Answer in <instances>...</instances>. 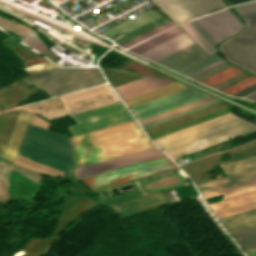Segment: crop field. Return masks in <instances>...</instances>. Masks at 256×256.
<instances>
[{
  "label": "crop field",
  "mask_w": 256,
  "mask_h": 256,
  "mask_svg": "<svg viewBox=\"0 0 256 256\" xmlns=\"http://www.w3.org/2000/svg\"><path fill=\"white\" fill-rule=\"evenodd\" d=\"M222 194L221 201L209 204L219 217L256 208V181L203 194L204 199Z\"/></svg>",
  "instance_id": "obj_9"
},
{
  "label": "crop field",
  "mask_w": 256,
  "mask_h": 256,
  "mask_svg": "<svg viewBox=\"0 0 256 256\" xmlns=\"http://www.w3.org/2000/svg\"><path fill=\"white\" fill-rule=\"evenodd\" d=\"M219 59L217 53L208 57L194 43L156 63L187 76Z\"/></svg>",
  "instance_id": "obj_14"
},
{
  "label": "crop field",
  "mask_w": 256,
  "mask_h": 256,
  "mask_svg": "<svg viewBox=\"0 0 256 256\" xmlns=\"http://www.w3.org/2000/svg\"><path fill=\"white\" fill-rule=\"evenodd\" d=\"M31 115V113L18 108L11 111L0 140L1 154L14 159Z\"/></svg>",
  "instance_id": "obj_15"
},
{
  "label": "crop field",
  "mask_w": 256,
  "mask_h": 256,
  "mask_svg": "<svg viewBox=\"0 0 256 256\" xmlns=\"http://www.w3.org/2000/svg\"><path fill=\"white\" fill-rule=\"evenodd\" d=\"M172 81H166L161 79L151 78L144 82L138 83L126 89L118 91L123 100L128 99L130 97L136 96L138 94L144 93L146 91L152 90L154 88L160 87L162 85L168 84Z\"/></svg>",
  "instance_id": "obj_22"
},
{
  "label": "crop field",
  "mask_w": 256,
  "mask_h": 256,
  "mask_svg": "<svg viewBox=\"0 0 256 256\" xmlns=\"http://www.w3.org/2000/svg\"><path fill=\"white\" fill-rule=\"evenodd\" d=\"M69 138L75 168L154 147L135 120Z\"/></svg>",
  "instance_id": "obj_1"
},
{
  "label": "crop field",
  "mask_w": 256,
  "mask_h": 256,
  "mask_svg": "<svg viewBox=\"0 0 256 256\" xmlns=\"http://www.w3.org/2000/svg\"><path fill=\"white\" fill-rule=\"evenodd\" d=\"M229 66H231V65H229L225 62V63H223V64H221V65H219V66H217V67H215V68H213V69H211V70H209V71H207V72H205V73H203V74H201V75H199V76H197L193 79L196 80V81H200V80H202V79H204V78H206V77H208V76H210L214 73H217V72H219V71H221V70H223V69H225Z\"/></svg>",
  "instance_id": "obj_30"
},
{
  "label": "crop field",
  "mask_w": 256,
  "mask_h": 256,
  "mask_svg": "<svg viewBox=\"0 0 256 256\" xmlns=\"http://www.w3.org/2000/svg\"><path fill=\"white\" fill-rule=\"evenodd\" d=\"M162 154L159 150H157L155 147L146 149L143 151L135 152L132 154L124 155L121 157L109 159L106 161L98 162L95 164L87 165L84 167L76 168L75 174L81 178L89 175H93L96 173L108 171L111 169H115L118 167L126 166L129 164H133L136 162L144 161L147 159H151L154 157L162 156Z\"/></svg>",
  "instance_id": "obj_18"
},
{
  "label": "crop field",
  "mask_w": 256,
  "mask_h": 256,
  "mask_svg": "<svg viewBox=\"0 0 256 256\" xmlns=\"http://www.w3.org/2000/svg\"><path fill=\"white\" fill-rule=\"evenodd\" d=\"M227 177L196 184L201 194L256 180V157L221 165Z\"/></svg>",
  "instance_id": "obj_11"
},
{
  "label": "crop field",
  "mask_w": 256,
  "mask_h": 256,
  "mask_svg": "<svg viewBox=\"0 0 256 256\" xmlns=\"http://www.w3.org/2000/svg\"><path fill=\"white\" fill-rule=\"evenodd\" d=\"M166 12L176 23L225 8L221 0H151Z\"/></svg>",
  "instance_id": "obj_13"
},
{
  "label": "crop field",
  "mask_w": 256,
  "mask_h": 256,
  "mask_svg": "<svg viewBox=\"0 0 256 256\" xmlns=\"http://www.w3.org/2000/svg\"><path fill=\"white\" fill-rule=\"evenodd\" d=\"M243 251L256 248V226L230 232Z\"/></svg>",
  "instance_id": "obj_24"
},
{
  "label": "crop field",
  "mask_w": 256,
  "mask_h": 256,
  "mask_svg": "<svg viewBox=\"0 0 256 256\" xmlns=\"http://www.w3.org/2000/svg\"><path fill=\"white\" fill-rule=\"evenodd\" d=\"M23 80L29 86L44 88L51 97L105 82L97 68H57Z\"/></svg>",
  "instance_id": "obj_5"
},
{
  "label": "crop field",
  "mask_w": 256,
  "mask_h": 256,
  "mask_svg": "<svg viewBox=\"0 0 256 256\" xmlns=\"http://www.w3.org/2000/svg\"><path fill=\"white\" fill-rule=\"evenodd\" d=\"M246 99H249V100H252V101H255L256 102V93L246 97Z\"/></svg>",
  "instance_id": "obj_39"
},
{
  "label": "crop field",
  "mask_w": 256,
  "mask_h": 256,
  "mask_svg": "<svg viewBox=\"0 0 256 256\" xmlns=\"http://www.w3.org/2000/svg\"><path fill=\"white\" fill-rule=\"evenodd\" d=\"M222 62H224L223 59L214 63V64H212V65H210V66H208V67H206V68H204V69H202V70H200V71H198V72H196V73H194V74H192V75H190V76H188V77L192 78V77H194V76H196V75H198V74H200V73H202V72H204V71H206V70H208V69H210V68H212V67H214V66H216L220 63H222Z\"/></svg>",
  "instance_id": "obj_36"
},
{
  "label": "crop field",
  "mask_w": 256,
  "mask_h": 256,
  "mask_svg": "<svg viewBox=\"0 0 256 256\" xmlns=\"http://www.w3.org/2000/svg\"><path fill=\"white\" fill-rule=\"evenodd\" d=\"M233 8L237 11V13L240 16L254 13V12H256V1L247 3V4H243V5H239V6H235Z\"/></svg>",
  "instance_id": "obj_27"
},
{
  "label": "crop field",
  "mask_w": 256,
  "mask_h": 256,
  "mask_svg": "<svg viewBox=\"0 0 256 256\" xmlns=\"http://www.w3.org/2000/svg\"><path fill=\"white\" fill-rule=\"evenodd\" d=\"M211 99H214V98L209 97V98L203 99V100H201V101H198V102H195V103L186 105V106H184V107H181V108H178V109H175V110L166 112V113H164V114H161V115H158V116H155V117H152V118H149V119H147V120L141 121V124L146 123V122H149V121L154 120V119H157V118H160V117H163V116H166V115H169V114H171V113H174V112H177V111L186 109V108H188V107H191V106H194V105H197V104L206 102V101L211 100Z\"/></svg>",
  "instance_id": "obj_29"
},
{
  "label": "crop field",
  "mask_w": 256,
  "mask_h": 256,
  "mask_svg": "<svg viewBox=\"0 0 256 256\" xmlns=\"http://www.w3.org/2000/svg\"><path fill=\"white\" fill-rule=\"evenodd\" d=\"M95 205H97V202L89 197L78 199L75 202V204L71 208L67 209L60 217L59 227L56 230V232L52 235V238L48 240L43 238H31L28 245L22 250H24L25 252L32 256L34 252L38 249V247L42 244V242L46 240L45 243L34 255L41 256L47 250V248L59 238L57 235H59L79 214Z\"/></svg>",
  "instance_id": "obj_16"
},
{
  "label": "crop field",
  "mask_w": 256,
  "mask_h": 256,
  "mask_svg": "<svg viewBox=\"0 0 256 256\" xmlns=\"http://www.w3.org/2000/svg\"><path fill=\"white\" fill-rule=\"evenodd\" d=\"M228 232L256 225V209L219 218Z\"/></svg>",
  "instance_id": "obj_21"
},
{
  "label": "crop field",
  "mask_w": 256,
  "mask_h": 256,
  "mask_svg": "<svg viewBox=\"0 0 256 256\" xmlns=\"http://www.w3.org/2000/svg\"><path fill=\"white\" fill-rule=\"evenodd\" d=\"M217 101H220V100H217V99L211 100V101H209V102H206V103L200 104V105H198V106H195V107L189 108V109H187V110H184V111L178 112V113L173 114V115H170V116H168V117H165V118L159 119V120H157V121H154V122L148 123V124H146V125H143V128L148 127V126L153 125V124H156V123H159V122H162V121H164V120H167V119H170V118L176 117V116H178V115H181V114L187 113V112H189V111H192V110H195V109L201 108V107H203V106H206V105H209V104L215 103V102H217Z\"/></svg>",
  "instance_id": "obj_26"
},
{
  "label": "crop field",
  "mask_w": 256,
  "mask_h": 256,
  "mask_svg": "<svg viewBox=\"0 0 256 256\" xmlns=\"http://www.w3.org/2000/svg\"><path fill=\"white\" fill-rule=\"evenodd\" d=\"M226 113H229V111H228L227 108L222 109V110L217 111V112H214V113H211V114H208V115H206V116H203V117L194 119V120H192V121L183 123V124H181V125H178V126L169 128V129H167V130H164V131L155 133V134H153V135H150V137H151L152 140H154V139H157V138H159V137H162V136L171 134V133H173V132H176V131L185 129V128L190 127V126H193V125H196V124H198V123H201V122L210 120V119H212V118H215V117H218V116H221V115H224V114H226Z\"/></svg>",
  "instance_id": "obj_25"
},
{
  "label": "crop field",
  "mask_w": 256,
  "mask_h": 256,
  "mask_svg": "<svg viewBox=\"0 0 256 256\" xmlns=\"http://www.w3.org/2000/svg\"><path fill=\"white\" fill-rule=\"evenodd\" d=\"M230 4H234V3H238V2H242V1H246V0H227ZM250 1V0H248Z\"/></svg>",
  "instance_id": "obj_40"
},
{
  "label": "crop field",
  "mask_w": 256,
  "mask_h": 256,
  "mask_svg": "<svg viewBox=\"0 0 256 256\" xmlns=\"http://www.w3.org/2000/svg\"><path fill=\"white\" fill-rule=\"evenodd\" d=\"M18 155L73 174L69 141L46 129L29 124Z\"/></svg>",
  "instance_id": "obj_3"
},
{
  "label": "crop field",
  "mask_w": 256,
  "mask_h": 256,
  "mask_svg": "<svg viewBox=\"0 0 256 256\" xmlns=\"http://www.w3.org/2000/svg\"><path fill=\"white\" fill-rule=\"evenodd\" d=\"M191 43H193V41L185 33H183L139 55L155 62Z\"/></svg>",
  "instance_id": "obj_19"
},
{
  "label": "crop field",
  "mask_w": 256,
  "mask_h": 256,
  "mask_svg": "<svg viewBox=\"0 0 256 256\" xmlns=\"http://www.w3.org/2000/svg\"><path fill=\"white\" fill-rule=\"evenodd\" d=\"M77 123L69 126L74 135L133 120L128 110L119 102L70 115Z\"/></svg>",
  "instance_id": "obj_10"
},
{
  "label": "crop field",
  "mask_w": 256,
  "mask_h": 256,
  "mask_svg": "<svg viewBox=\"0 0 256 256\" xmlns=\"http://www.w3.org/2000/svg\"><path fill=\"white\" fill-rule=\"evenodd\" d=\"M10 111L11 110L0 113V137L5 127Z\"/></svg>",
  "instance_id": "obj_32"
},
{
  "label": "crop field",
  "mask_w": 256,
  "mask_h": 256,
  "mask_svg": "<svg viewBox=\"0 0 256 256\" xmlns=\"http://www.w3.org/2000/svg\"><path fill=\"white\" fill-rule=\"evenodd\" d=\"M171 169H175L173 164L160 157L82 179L96 189Z\"/></svg>",
  "instance_id": "obj_8"
},
{
  "label": "crop field",
  "mask_w": 256,
  "mask_h": 256,
  "mask_svg": "<svg viewBox=\"0 0 256 256\" xmlns=\"http://www.w3.org/2000/svg\"><path fill=\"white\" fill-rule=\"evenodd\" d=\"M197 21L219 42L241 30V22L228 10L197 19ZM196 20L180 26L208 53L216 50L212 47L218 43Z\"/></svg>",
  "instance_id": "obj_6"
},
{
  "label": "crop field",
  "mask_w": 256,
  "mask_h": 256,
  "mask_svg": "<svg viewBox=\"0 0 256 256\" xmlns=\"http://www.w3.org/2000/svg\"><path fill=\"white\" fill-rule=\"evenodd\" d=\"M181 33H183V31L180 30L177 26H175V27H173V28H171V29H169V30H167V31H165V32H163V33H161V34H159V35H157V36H155V37H153V38H151V39H149V40H147V41H145V42H143V43H141V44H139L135 47H133V48H131V49H129V51L134 52L136 54H139V53H141V52H143V51H145V50H147L151 47H154V46H156V45H158V44H160V43H162V42H164L168 39H171V38H173V37H175V36H177Z\"/></svg>",
  "instance_id": "obj_23"
},
{
  "label": "crop field",
  "mask_w": 256,
  "mask_h": 256,
  "mask_svg": "<svg viewBox=\"0 0 256 256\" xmlns=\"http://www.w3.org/2000/svg\"><path fill=\"white\" fill-rule=\"evenodd\" d=\"M240 36H252L256 35V26L247 28L243 33L239 34Z\"/></svg>",
  "instance_id": "obj_35"
},
{
  "label": "crop field",
  "mask_w": 256,
  "mask_h": 256,
  "mask_svg": "<svg viewBox=\"0 0 256 256\" xmlns=\"http://www.w3.org/2000/svg\"><path fill=\"white\" fill-rule=\"evenodd\" d=\"M206 97L209 96L189 87L148 103L136 106L131 108V110L138 120H144Z\"/></svg>",
  "instance_id": "obj_12"
},
{
  "label": "crop field",
  "mask_w": 256,
  "mask_h": 256,
  "mask_svg": "<svg viewBox=\"0 0 256 256\" xmlns=\"http://www.w3.org/2000/svg\"><path fill=\"white\" fill-rule=\"evenodd\" d=\"M220 49L229 60L256 72V37L236 36L221 44Z\"/></svg>",
  "instance_id": "obj_17"
},
{
  "label": "crop field",
  "mask_w": 256,
  "mask_h": 256,
  "mask_svg": "<svg viewBox=\"0 0 256 256\" xmlns=\"http://www.w3.org/2000/svg\"><path fill=\"white\" fill-rule=\"evenodd\" d=\"M249 75H251V74L243 72V73H241V74H239V75H237V76H235V77H233V78H231V79H229V80H227V81H225V82H223V83H221V84H219V85H217L213 88H215L217 90H220V89H222V88H224V87H226V86H228V85H230L234 82H237V81H239V80H241V79H243V78H245Z\"/></svg>",
  "instance_id": "obj_31"
},
{
  "label": "crop field",
  "mask_w": 256,
  "mask_h": 256,
  "mask_svg": "<svg viewBox=\"0 0 256 256\" xmlns=\"http://www.w3.org/2000/svg\"><path fill=\"white\" fill-rule=\"evenodd\" d=\"M247 256H256V249L245 251Z\"/></svg>",
  "instance_id": "obj_38"
},
{
  "label": "crop field",
  "mask_w": 256,
  "mask_h": 256,
  "mask_svg": "<svg viewBox=\"0 0 256 256\" xmlns=\"http://www.w3.org/2000/svg\"><path fill=\"white\" fill-rule=\"evenodd\" d=\"M242 18L245 20L247 27L256 25V13L247 15V16H243Z\"/></svg>",
  "instance_id": "obj_33"
},
{
  "label": "crop field",
  "mask_w": 256,
  "mask_h": 256,
  "mask_svg": "<svg viewBox=\"0 0 256 256\" xmlns=\"http://www.w3.org/2000/svg\"><path fill=\"white\" fill-rule=\"evenodd\" d=\"M153 11V10H152ZM150 9L100 33L106 37H109L123 29H125L129 34L115 40L117 45H122L146 32H149L165 23H167L163 18L152 12ZM172 27L169 23L149 32L146 33L124 45L121 47L127 48L135 43H138L148 37H151L161 31H164L165 29H168Z\"/></svg>",
  "instance_id": "obj_7"
},
{
  "label": "crop field",
  "mask_w": 256,
  "mask_h": 256,
  "mask_svg": "<svg viewBox=\"0 0 256 256\" xmlns=\"http://www.w3.org/2000/svg\"><path fill=\"white\" fill-rule=\"evenodd\" d=\"M255 90H256V84L249 87V88H246V89H244V90H242V91H240L236 94H234V96L243 97V96H245V95H247V94H249V93H251Z\"/></svg>",
  "instance_id": "obj_34"
},
{
  "label": "crop field",
  "mask_w": 256,
  "mask_h": 256,
  "mask_svg": "<svg viewBox=\"0 0 256 256\" xmlns=\"http://www.w3.org/2000/svg\"><path fill=\"white\" fill-rule=\"evenodd\" d=\"M186 85H182L176 82L170 83L168 85L162 86L160 88L154 89L152 91L146 92L144 94L138 95L136 97L130 98L128 100H125V103L128 105L129 108L134 107L136 105L148 102L150 100L159 98L161 96L170 94L172 92L184 89Z\"/></svg>",
  "instance_id": "obj_20"
},
{
  "label": "crop field",
  "mask_w": 256,
  "mask_h": 256,
  "mask_svg": "<svg viewBox=\"0 0 256 256\" xmlns=\"http://www.w3.org/2000/svg\"><path fill=\"white\" fill-rule=\"evenodd\" d=\"M149 78H150V77H146V78H143V79H141V80H138V81L132 82V83H130V84H127V85L121 86V87H119V88H116V91H117V90H120V89H123V88H125V87H128V86H131V85H133V84H136V83H138V82H141V81H143V80L149 79Z\"/></svg>",
  "instance_id": "obj_37"
},
{
  "label": "crop field",
  "mask_w": 256,
  "mask_h": 256,
  "mask_svg": "<svg viewBox=\"0 0 256 256\" xmlns=\"http://www.w3.org/2000/svg\"><path fill=\"white\" fill-rule=\"evenodd\" d=\"M61 98L62 100H60V98H54L55 100L50 99L51 101L46 100L47 102L42 101L43 103H38L40 105L56 100L60 101L40 106H38L37 104H32L23 106L22 108L50 120L70 115L72 113L119 102V99L116 97L114 92L107 84L72 93L69 95L61 96Z\"/></svg>",
  "instance_id": "obj_4"
},
{
  "label": "crop field",
  "mask_w": 256,
  "mask_h": 256,
  "mask_svg": "<svg viewBox=\"0 0 256 256\" xmlns=\"http://www.w3.org/2000/svg\"><path fill=\"white\" fill-rule=\"evenodd\" d=\"M256 130V126L231 113L154 140L172 158Z\"/></svg>",
  "instance_id": "obj_2"
},
{
  "label": "crop field",
  "mask_w": 256,
  "mask_h": 256,
  "mask_svg": "<svg viewBox=\"0 0 256 256\" xmlns=\"http://www.w3.org/2000/svg\"><path fill=\"white\" fill-rule=\"evenodd\" d=\"M53 68H57V67L52 63L48 62V63L36 65L33 67L25 68V71L28 73V75H30V74L42 72V71L53 69Z\"/></svg>",
  "instance_id": "obj_28"
}]
</instances>
